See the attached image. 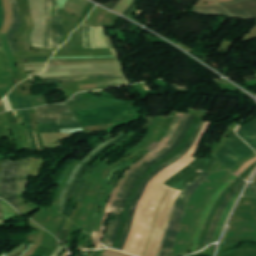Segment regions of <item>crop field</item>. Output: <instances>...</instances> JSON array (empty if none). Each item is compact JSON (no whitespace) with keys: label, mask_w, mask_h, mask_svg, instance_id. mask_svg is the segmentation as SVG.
<instances>
[{"label":"crop field","mask_w":256,"mask_h":256,"mask_svg":"<svg viewBox=\"0 0 256 256\" xmlns=\"http://www.w3.org/2000/svg\"><path fill=\"white\" fill-rule=\"evenodd\" d=\"M104 256H132L127 253H123L117 250H112V249H106V251L103 253Z\"/></svg>","instance_id":"obj_33"},{"label":"crop field","mask_w":256,"mask_h":256,"mask_svg":"<svg viewBox=\"0 0 256 256\" xmlns=\"http://www.w3.org/2000/svg\"><path fill=\"white\" fill-rule=\"evenodd\" d=\"M237 134L240 135L251 147L256 146V118L247 125H239Z\"/></svg>","instance_id":"obj_20"},{"label":"crop field","mask_w":256,"mask_h":256,"mask_svg":"<svg viewBox=\"0 0 256 256\" xmlns=\"http://www.w3.org/2000/svg\"><path fill=\"white\" fill-rule=\"evenodd\" d=\"M17 102H18L19 109L26 108L23 98H17Z\"/></svg>","instance_id":"obj_45"},{"label":"crop field","mask_w":256,"mask_h":256,"mask_svg":"<svg viewBox=\"0 0 256 256\" xmlns=\"http://www.w3.org/2000/svg\"><path fill=\"white\" fill-rule=\"evenodd\" d=\"M186 165H171L147 185L136 210L133 227L125 243L127 253L153 256L157 233L175 189L163 184Z\"/></svg>","instance_id":"obj_1"},{"label":"crop field","mask_w":256,"mask_h":256,"mask_svg":"<svg viewBox=\"0 0 256 256\" xmlns=\"http://www.w3.org/2000/svg\"><path fill=\"white\" fill-rule=\"evenodd\" d=\"M25 99V103H26V107L27 108H32V102H31V99H27V98H24Z\"/></svg>","instance_id":"obj_49"},{"label":"crop field","mask_w":256,"mask_h":256,"mask_svg":"<svg viewBox=\"0 0 256 256\" xmlns=\"http://www.w3.org/2000/svg\"><path fill=\"white\" fill-rule=\"evenodd\" d=\"M84 93H86V92L78 93V94L75 95L73 98H71L70 101L65 102V104H67V105L71 104L72 102H74V101H76L78 98H80Z\"/></svg>","instance_id":"obj_42"},{"label":"crop field","mask_w":256,"mask_h":256,"mask_svg":"<svg viewBox=\"0 0 256 256\" xmlns=\"http://www.w3.org/2000/svg\"><path fill=\"white\" fill-rule=\"evenodd\" d=\"M2 208H3L5 220L15 216L14 209L3 200H2Z\"/></svg>","instance_id":"obj_32"},{"label":"crop field","mask_w":256,"mask_h":256,"mask_svg":"<svg viewBox=\"0 0 256 256\" xmlns=\"http://www.w3.org/2000/svg\"><path fill=\"white\" fill-rule=\"evenodd\" d=\"M90 237L91 236L87 234L86 239H85L84 249H89Z\"/></svg>","instance_id":"obj_48"},{"label":"crop field","mask_w":256,"mask_h":256,"mask_svg":"<svg viewBox=\"0 0 256 256\" xmlns=\"http://www.w3.org/2000/svg\"><path fill=\"white\" fill-rule=\"evenodd\" d=\"M183 113H178V115L176 116L167 136L163 139V141L161 142V144L156 147L151 153H149L148 155H146L145 157L141 158L140 160L136 161L135 163L132 164V166L130 167V169L124 174L125 177L120 179L119 182H118V185L117 187L114 189L109 201H108V204L106 206V210H105V216L110 214V211H111V208H112V204H113V200L116 196V194L118 193L119 189L121 188L125 178L134 170V168L140 164L141 162H143L144 160L150 158L153 154L157 153L160 149H162L168 142V140L171 138L172 134H174L175 130H176V127L182 117ZM105 216H104V219H105ZM103 223H104V220H103ZM103 223H102V228L100 230V234H99V237H98V241L101 242L102 240V237H103V233H104V226H103Z\"/></svg>","instance_id":"obj_9"},{"label":"crop field","mask_w":256,"mask_h":256,"mask_svg":"<svg viewBox=\"0 0 256 256\" xmlns=\"http://www.w3.org/2000/svg\"><path fill=\"white\" fill-rule=\"evenodd\" d=\"M119 1L120 0H118L116 3L109 1L108 4L105 7L112 10L119 3Z\"/></svg>","instance_id":"obj_46"},{"label":"crop field","mask_w":256,"mask_h":256,"mask_svg":"<svg viewBox=\"0 0 256 256\" xmlns=\"http://www.w3.org/2000/svg\"><path fill=\"white\" fill-rule=\"evenodd\" d=\"M4 21V8L0 0V29ZM14 87L12 75L8 68L6 55L0 44V100Z\"/></svg>","instance_id":"obj_12"},{"label":"crop field","mask_w":256,"mask_h":256,"mask_svg":"<svg viewBox=\"0 0 256 256\" xmlns=\"http://www.w3.org/2000/svg\"><path fill=\"white\" fill-rule=\"evenodd\" d=\"M190 114L188 113H184L182 119H181V122L175 132V134L172 136V138L170 139L169 143L167 144V146L165 148H163L162 150H160L156 155H154L153 157H151L150 159H148L147 161H145L144 163L140 164L125 180L122 188H121V191L120 193L117 195L115 201H114V204H113V208H112V212H111V217L115 216L116 215V211L118 209V204L125 192V189L129 183V181L131 180V178L137 173L139 172L147 163L151 162L152 160H154L155 158H157L159 155L163 154L167 149H169L173 143L175 142V140L177 139V137L179 136L188 116Z\"/></svg>","instance_id":"obj_11"},{"label":"crop field","mask_w":256,"mask_h":256,"mask_svg":"<svg viewBox=\"0 0 256 256\" xmlns=\"http://www.w3.org/2000/svg\"><path fill=\"white\" fill-rule=\"evenodd\" d=\"M36 133V132H35ZM36 136H37V140H38V144H39V146H40V148H41V151L42 150H44V146H43V142H42V140H41V136H40V134H38V133H36ZM38 146V147H39ZM40 148H39V151H40Z\"/></svg>","instance_id":"obj_44"},{"label":"crop field","mask_w":256,"mask_h":256,"mask_svg":"<svg viewBox=\"0 0 256 256\" xmlns=\"http://www.w3.org/2000/svg\"><path fill=\"white\" fill-rule=\"evenodd\" d=\"M0 224H4V218H3L2 208H1V202H0Z\"/></svg>","instance_id":"obj_50"},{"label":"crop field","mask_w":256,"mask_h":256,"mask_svg":"<svg viewBox=\"0 0 256 256\" xmlns=\"http://www.w3.org/2000/svg\"><path fill=\"white\" fill-rule=\"evenodd\" d=\"M55 244L59 245V242L56 240V241H55Z\"/></svg>","instance_id":"obj_54"},{"label":"crop field","mask_w":256,"mask_h":256,"mask_svg":"<svg viewBox=\"0 0 256 256\" xmlns=\"http://www.w3.org/2000/svg\"><path fill=\"white\" fill-rule=\"evenodd\" d=\"M39 123L57 122L58 125L78 123L74 113L63 104H54L35 109Z\"/></svg>","instance_id":"obj_7"},{"label":"crop field","mask_w":256,"mask_h":256,"mask_svg":"<svg viewBox=\"0 0 256 256\" xmlns=\"http://www.w3.org/2000/svg\"><path fill=\"white\" fill-rule=\"evenodd\" d=\"M125 164H126V162L123 161L119 166H117V167L110 173L109 177L107 176L108 179H107V181H106V183H105V185H104V187H103V189H102V191H101V193H100V195H99V197H98V199H97V202H96V205H95L94 214H93V218H92V221H91V224H90L88 233H90V234L92 233V229H93L94 224H95V222H96V220H97V216H98V212H99V208H100V204H101L102 198H103L104 193H105V191L107 190V188H108V186H109V184H110V182H111L113 176H114V175L116 174V172H117L122 166H124Z\"/></svg>","instance_id":"obj_23"},{"label":"crop field","mask_w":256,"mask_h":256,"mask_svg":"<svg viewBox=\"0 0 256 256\" xmlns=\"http://www.w3.org/2000/svg\"><path fill=\"white\" fill-rule=\"evenodd\" d=\"M194 12L200 14H207V15H226L228 17H232L224 8L222 7H213V8H200V9H193Z\"/></svg>","instance_id":"obj_30"},{"label":"crop field","mask_w":256,"mask_h":256,"mask_svg":"<svg viewBox=\"0 0 256 256\" xmlns=\"http://www.w3.org/2000/svg\"><path fill=\"white\" fill-rule=\"evenodd\" d=\"M100 250H97L93 256H96L99 253Z\"/></svg>","instance_id":"obj_53"},{"label":"crop field","mask_w":256,"mask_h":256,"mask_svg":"<svg viewBox=\"0 0 256 256\" xmlns=\"http://www.w3.org/2000/svg\"><path fill=\"white\" fill-rule=\"evenodd\" d=\"M106 39H107L108 46H109L110 50L113 52L114 57L116 59V63H117L120 75H89V76H76V77H52V78H44L39 81H31V83L37 82L36 84H31V86L47 84V83H51V82L80 81V80L88 79V78H111V79L122 78L124 84L129 85L130 82L128 81V79L125 76L123 65L120 60V56H119L111 38L106 37Z\"/></svg>","instance_id":"obj_10"},{"label":"crop field","mask_w":256,"mask_h":256,"mask_svg":"<svg viewBox=\"0 0 256 256\" xmlns=\"http://www.w3.org/2000/svg\"><path fill=\"white\" fill-rule=\"evenodd\" d=\"M211 174L212 173H206V172L202 171L201 174L196 178V180L192 184L188 183V185L182 191L181 195L179 196V198L175 204L174 210L172 212V215H171L168 227H167V231H166V235L164 238L160 256H171L185 207L188 204V202H189L192 194L195 192V190Z\"/></svg>","instance_id":"obj_2"},{"label":"crop field","mask_w":256,"mask_h":256,"mask_svg":"<svg viewBox=\"0 0 256 256\" xmlns=\"http://www.w3.org/2000/svg\"><path fill=\"white\" fill-rule=\"evenodd\" d=\"M243 195L253 197L256 196V178L254 179V184H250V186Z\"/></svg>","instance_id":"obj_34"},{"label":"crop field","mask_w":256,"mask_h":256,"mask_svg":"<svg viewBox=\"0 0 256 256\" xmlns=\"http://www.w3.org/2000/svg\"><path fill=\"white\" fill-rule=\"evenodd\" d=\"M227 11L237 17L256 20V0L224 6Z\"/></svg>","instance_id":"obj_14"},{"label":"crop field","mask_w":256,"mask_h":256,"mask_svg":"<svg viewBox=\"0 0 256 256\" xmlns=\"http://www.w3.org/2000/svg\"><path fill=\"white\" fill-rule=\"evenodd\" d=\"M56 25H57V48H58L62 44V36H63V30H64V26L60 18V7L58 5L56 10Z\"/></svg>","instance_id":"obj_31"},{"label":"crop field","mask_w":256,"mask_h":256,"mask_svg":"<svg viewBox=\"0 0 256 256\" xmlns=\"http://www.w3.org/2000/svg\"><path fill=\"white\" fill-rule=\"evenodd\" d=\"M29 164H30L29 158H27V160H21L20 162V167H19L17 181H16L18 194L25 191L26 177L29 173Z\"/></svg>","instance_id":"obj_24"},{"label":"crop field","mask_w":256,"mask_h":256,"mask_svg":"<svg viewBox=\"0 0 256 256\" xmlns=\"http://www.w3.org/2000/svg\"><path fill=\"white\" fill-rule=\"evenodd\" d=\"M204 122L203 120L201 122H199L198 126H197V129L193 135V137L191 138V140L188 142V144L184 147V149L177 155L175 156L174 158H172L171 160L167 161L166 163H170V164H173L174 162H176L178 159H180L183 155L186 154V152L189 150V148L191 147V145L193 144V142L195 141V139L197 138L202 126H203ZM166 163H164L163 165H161L160 167H158V169L156 171L153 172V174H151L148 178H146L144 180V182L142 183L132 205H131V209H130V213H129V217H128V220H127V226H126V230H125V233L121 239V243H120V246H119V250L122 251V248H123V245L125 243V240L128 236V231L130 229V226H131V223H132V220H133V217H134V214H135V210H136V206H137V200L140 199L141 197V194L145 188V186L147 185V183L155 177V175L160 172L161 170H163L164 168L168 167L169 165H166ZM130 232V231H129Z\"/></svg>","instance_id":"obj_6"},{"label":"crop field","mask_w":256,"mask_h":256,"mask_svg":"<svg viewBox=\"0 0 256 256\" xmlns=\"http://www.w3.org/2000/svg\"><path fill=\"white\" fill-rule=\"evenodd\" d=\"M20 112H21V114H22V116H23V118H24V122L26 123L25 128L32 130L31 121H30V118H29V116H28L27 111H26V110H23V111H20Z\"/></svg>","instance_id":"obj_37"},{"label":"crop field","mask_w":256,"mask_h":256,"mask_svg":"<svg viewBox=\"0 0 256 256\" xmlns=\"http://www.w3.org/2000/svg\"><path fill=\"white\" fill-rule=\"evenodd\" d=\"M27 130V129H26ZM28 136H29V140H30V144H31V149L35 150L38 149L37 148V144H36V140H35V136L34 133L32 131L27 130Z\"/></svg>","instance_id":"obj_35"},{"label":"crop field","mask_w":256,"mask_h":256,"mask_svg":"<svg viewBox=\"0 0 256 256\" xmlns=\"http://www.w3.org/2000/svg\"><path fill=\"white\" fill-rule=\"evenodd\" d=\"M125 137H126V136L123 135V136H121L119 139L115 140L114 142H112L111 144H109L108 146H106L105 148H103V149H102L100 152H98L94 157H92V158L84 165V167L80 170V172H79L78 176L76 177V179H75V181H74V183H73V186H72V188H71V190H70V192H69V195H68V197H67L66 205H65V209H64L63 215H65V216L68 215V211H69V207H70L71 198H72V196H73V193H74V191H75V189H76V187H77V185H78V183H79V181H80V179H81V177H82V175H83L85 169H86L91 163H93L101 153H103V152H104L106 149H108L109 147H111V146L117 144L119 141H121V140H122L123 138H125Z\"/></svg>","instance_id":"obj_17"},{"label":"crop field","mask_w":256,"mask_h":256,"mask_svg":"<svg viewBox=\"0 0 256 256\" xmlns=\"http://www.w3.org/2000/svg\"><path fill=\"white\" fill-rule=\"evenodd\" d=\"M241 1H245V0H235V1H232V2H226V3H221V4H222V5L234 4V3L241 2Z\"/></svg>","instance_id":"obj_51"},{"label":"crop field","mask_w":256,"mask_h":256,"mask_svg":"<svg viewBox=\"0 0 256 256\" xmlns=\"http://www.w3.org/2000/svg\"><path fill=\"white\" fill-rule=\"evenodd\" d=\"M44 16H45V33H44V46L49 47V38H50V31L51 26L49 24V0H44Z\"/></svg>","instance_id":"obj_26"},{"label":"crop field","mask_w":256,"mask_h":256,"mask_svg":"<svg viewBox=\"0 0 256 256\" xmlns=\"http://www.w3.org/2000/svg\"><path fill=\"white\" fill-rule=\"evenodd\" d=\"M134 102L118 104L103 108L75 112L81 126L118 122L116 119L133 116L130 105ZM132 118V117H131ZM130 119V118H127ZM124 119V120H127ZM122 120V121H124Z\"/></svg>","instance_id":"obj_3"},{"label":"crop field","mask_w":256,"mask_h":256,"mask_svg":"<svg viewBox=\"0 0 256 256\" xmlns=\"http://www.w3.org/2000/svg\"><path fill=\"white\" fill-rule=\"evenodd\" d=\"M210 124H211V123H208V122L205 123V125H204V127H203V129H202L200 135L198 136L196 142L192 145V147H191L190 150L187 152V154H186L183 158H181L180 160H178L176 163H185V164H189L191 161L194 160V158H192L191 156L194 154V152H195L196 148L198 147V145H199V143H200V141H201V139H202V137H203L205 131L207 130V128L209 127Z\"/></svg>","instance_id":"obj_25"},{"label":"crop field","mask_w":256,"mask_h":256,"mask_svg":"<svg viewBox=\"0 0 256 256\" xmlns=\"http://www.w3.org/2000/svg\"><path fill=\"white\" fill-rule=\"evenodd\" d=\"M134 134H135L134 132H131V133L129 134V136H128L126 139H124V140H123L122 142H120L118 145H116V146L110 148L105 154H107V153H108L109 151H111L113 148H116V147L122 145L123 143H125L126 141H128L130 138H132V137L134 136ZM105 154H104V155H105ZM104 155H102V156H104ZM102 156H101V157H102ZM101 157H100V158L84 173V175H83V178H82V180H81V182H80V184H79V186H78V188H77V190H76V193H75L74 198H73L72 203H71V207H70V211H69V215H68V218H70L71 220L73 219V215H74V211H75V210L73 209V207H74V205H76V203H77V199H78L80 190H81V188L84 186V183H85V180H86L88 174L90 173V171H91L93 168H95V167L97 166V164L99 163Z\"/></svg>","instance_id":"obj_19"},{"label":"crop field","mask_w":256,"mask_h":256,"mask_svg":"<svg viewBox=\"0 0 256 256\" xmlns=\"http://www.w3.org/2000/svg\"><path fill=\"white\" fill-rule=\"evenodd\" d=\"M69 230H64L63 232V236H62V240L61 242L64 243L66 245V241H67V234H68Z\"/></svg>","instance_id":"obj_47"},{"label":"crop field","mask_w":256,"mask_h":256,"mask_svg":"<svg viewBox=\"0 0 256 256\" xmlns=\"http://www.w3.org/2000/svg\"><path fill=\"white\" fill-rule=\"evenodd\" d=\"M9 97V100H10V103H11V106L13 109H18L17 107V102H16V95H15V88L12 90V92L8 95Z\"/></svg>","instance_id":"obj_36"},{"label":"crop field","mask_w":256,"mask_h":256,"mask_svg":"<svg viewBox=\"0 0 256 256\" xmlns=\"http://www.w3.org/2000/svg\"><path fill=\"white\" fill-rule=\"evenodd\" d=\"M67 218L65 217H62L61 219V222H60V225H59V228H58V232H57V236L56 238L60 240L61 238V234H62V231H63V226H64V223L66 221Z\"/></svg>","instance_id":"obj_41"},{"label":"crop field","mask_w":256,"mask_h":256,"mask_svg":"<svg viewBox=\"0 0 256 256\" xmlns=\"http://www.w3.org/2000/svg\"><path fill=\"white\" fill-rule=\"evenodd\" d=\"M180 193H181V191L177 190V192L174 194V196H173V198L170 202L169 208H168V210L165 214L164 221H163L161 230L159 232V238L157 240V245H156V249H155V256H159V254H160L161 244H162V240H163L164 235H165V231H166V227H167V224H168V221H169V218H170V214H171V211L174 207L175 201L178 198Z\"/></svg>","instance_id":"obj_22"},{"label":"crop field","mask_w":256,"mask_h":256,"mask_svg":"<svg viewBox=\"0 0 256 256\" xmlns=\"http://www.w3.org/2000/svg\"><path fill=\"white\" fill-rule=\"evenodd\" d=\"M243 187H244V186H243ZM243 187H242V188H243ZM242 188L240 189V191H239L235 196L232 197V199H231L229 205L226 207V209H225V211H224L222 217L220 218V220H219V222H218V225H217V228H216V231H215V235H214V239H213V240H215V239L217 238V236H218V234H219V232H220V230H221V228H222V226H223V224H224V222H225V220H226V218H227V215H228L229 211L231 210V208H232V206H233L235 200L237 199L239 193L241 192Z\"/></svg>","instance_id":"obj_28"},{"label":"crop field","mask_w":256,"mask_h":256,"mask_svg":"<svg viewBox=\"0 0 256 256\" xmlns=\"http://www.w3.org/2000/svg\"><path fill=\"white\" fill-rule=\"evenodd\" d=\"M10 4L12 7V12H13V24L9 30V32L7 33V38H8V42L12 48L13 52L19 51L17 48V45L15 43L13 34L19 29L20 24H21V20H20V14H19V10H18V6H17V2L16 0H10Z\"/></svg>","instance_id":"obj_18"},{"label":"crop field","mask_w":256,"mask_h":256,"mask_svg":"<svg viewBox=\"0 0 256 256\" xmlns=\"http://www.w3.org/2000/svg\"><path fill=\"white\" fill-rule=\"evenodd\" d=\"M236 178H238V177H236V176L233 175V176L228 180V182H227L221 189H219V190L212 196V198L210 199V201H209V203H208V206H207V208H206V210H205V212H204V214H203V216H202V218H201V220H200L199 227H198L197 233H196L195 238H194V241H193V247H192V249H191V252H194L195 249H196V245H197V243H198L199 236H200L201 231H202V229H203L204 222H205V220H206V218H207V216H208V214H209L211 208L213 207L215 201L218 199V197H219V195L221 194V192H222L228 185H230ZM191 252H190V253H191Z\"/></svg>","instance_id":"obj_16"},{"label":"crop field","mask_w":256,"mask_h":256,"mask_svg":"<svg viewBox=\"0 0 256 256\" xmlns=\"http://www.w3.org/2000/svg\"><path fill=\"white\" fill-rule=\"evenodd\" d=\"M55 10H56V3L50 0V24L52 26V34H51V48H56L55 42V34H56V26H55Z\"/></svg>","instance_id":"obj_29"},{"label":"crop field","mask_w":256,"mask_h":256,"mask_svg":"<svg viewBox=\"0 0 256 256\" xmlns=\"http://www.w3.org/2000/svg\"><path fill=\"white\" fill-rule=\"evenodd\" d=\"M245 181H241L229 194L228 196L225 198V200L222 202V204L220 205L215 217H214V220L211 224V227H210V230H209V234H208V237H207V240L205 242V244H207L208 242L212 241V238H213V234H214V231H215V228H216V225H217V222L225 208V206L227 205V203L229 202V200L231 199V197L244 185ZM204 244V245H205Z\"/></svg>","instance_id":"obj_21"},{"label":"crop field","mask_w":256,"mask_h":256,"mask_svg":"<svg viewBox=\"0 0 256 256\" xmlns=\"http://www.w3.org/2000/svg\"><path fill=\"white\" fill-rule=\"evenodd\" d=\"M124 132H125V130L122 131V132L120 133V135H121L122 133H124ZM120 135H119L118 137H120ZM118 137H115V138H113V139H110V140L106 141L105 143H103L102 145H100V146H99L98 148H96L92 153H90L79 165L76 166V168H75L73 174L71 173L72 175H71L70 179L68 180V182H67V184H66V186H65V188H64V190H63V192H62V194H61L60 202H59V207H58V211H57V212L62 213L63 206H64V202H65V197H66V195H67V192H68L69 188H70L71 185H72L73 179H74V177H75L77 171H78L94 154H96L99 150H101L103 147H105L107 144H109L110 142L114 141V140L117 139Z\"/></svg>","instance_id":"obj_15"},{"label":"crop field","mask_w":256,"mask_h":256,"mask_svg":"<svg viewBox=\"0 0 256 256\" xmlns=\"http://www.w3.org/2000/svg\"><path fill=\"white\" fill-rule=\"evenodd\" d=\"M113 223H114V221H111V222L109 223V225H108V228H107V231H106L104 240H103V245H105V246H107V241H108V238H109V236H110V232H111Z\"/></svg>","instance_id":"obj_40"},{"label":"crop field","mask_w":256,"mask_h":256,"mask_svg":"<svg viewBox=\"0 0 256 256\" xmlns=\"http://www.w3.org/2000/svg\"><path fill=\"white\" fill-rule=\"evenodd\" d=\"M193 119H194V116L190 115V117H189V119H188V121H187V123H186V125H185V127H184V129H183V131H182V133H181V135L179 136V138L176 140V142L174 143V145H173L169 150H167L163 155H161L160 157H158L156 160H154V161H152L151 163H149L144 169H142V170H141L138 174H136V176L133 178V180L131 181V183H130V185H129V187H128L126 193H125V195L123 196V198H122V200H121V202H120V206H119V209H118V212H117V216H116V222H115L114 228H113V230H112L111 236H110V238H109V244H108L107 247H110V248H111V246H112V243H113V241H114L115 235H116V233H117V231H118V228H119V224H120V222H121V214H122V210H123V207H124V203L126 202L128 196H129V194H130V192H131V189H132V187L134 186V184H135L137 178H138L140 175L144 174V173L147 171V169H148L153 163H155V162L161 160L162 158H164L166 155H168L169 153H171V152L181 143V141H182V139L185 137V135H186V133H187V131H188V128H189L191 122L193 121Z\"/></svg>","instance_id":"obj_8"},{"label":"crop field","mask_w":256,"mask_h":256,"mask_svg":"<svg viewBox=\"0 0 256 256\" xmlns=\"http://www.w3.org/2000/svg\"><path fill=\"white\" fill-rule=\"evenodd\" d=\"M230 221H256V199L242 197Z\"/></svg>","instance_id":"obj_13"},{"label":"crop field","mask_w":256,"mask_h":256,"mask_svg":"<svg viewBox=\"0 0 256 256\" xmlns=\"http://www.w3.org/2000/svg\"><path fill=\"white\" fill-rule=\"evenodd\" d=\"M39 127H40L41 133H60L58 129L80 127V125L75 124V125H67V126H57L56 123H48V124H39Z\"/></svg>","instance_id":"obj_27"},{"label":"crop field","mask_w":256,"mask_h":256,"mask_svg":"<svg viewBox=\"0 0 256 256\" xmlns=\"http://www.w3.org/2000/svg\"><path fill=\"white\" fill-rule=\"evenodd\" d=\"M252 151L253 150L232 131L226 144L214 156L231 170L237 161L249 156Z\"/></svg>","instance_id":"obj_4"},{"label":"crop field","mask_w":256,"mask_h":256,"mask_svg":"<svg viewBox=\"0 0 256 256\" xmlns=\"http://www.w3.org/2000/svg\"><path fill=\"white\" fill-rule=\"evenodd\" d=\"M50 57H43V58H28V59H22V60H34V59H49Z\"/></svg>","instance_id":"obj_52"},{"label":"crop field","mask_w":256,"mask_h":256,"mask_svg":"<svg viewBox=\"0 0 256 256\" xmlns=\"http://www.w3.org/2000/svg\"><path fill=\"white\" fill-rule=\"evenodd\" d=\"M92 182H89L87 181L84 188L82 189L81 193H80V197H79V201L78 203H82L83 202V198H84V195L86 193V191L88 190V188L90 187Z\"/></svg>","instance_id":"obj_39"},{"label":"crop field","mask_w":256,"mask_h":256,"mask_svg":"<svg viewBox=\"0 0 256 256\" xmlns=\"http://www.w3.org/2000/svg\"><path fill=\"white\" fill-rule=\"evenodd\" d=\"M256 161V157H254L253 159L249 160L248 162H246L236 173L235 175L239 176L244 170H246L248 168V166Z\"/></svg>","instance_id":"obj_38"},{"label":"crop field","mask_w":256,"mask_h":256,"mask_svg":"<svg viewBox=\"0 0 256 256\" xmlns=\"http://www.w3.org/2000/svg\"><path fill=\"white\" fill-rule=\"evenodd\" d=\"M19 161L20 160H16L15 163L10 160L2 161L3 167L0 177L1 197L13 205L18 211H20V209L16 199L15 177Z\"/></svg>","instance_id":"obj_5"},{"label":"crop field","mask_w":256,"mask_h":256,"mask_svg":"<svg viewBox=\"0 0 256 256\" xmlns=\"http://www.w3.org/2000/svg\"><path fill=\"white\" fill-rule=\"evenodd\" d=\"M137 3V0H134L133 3L127 8V10L123 13V15L127 16V14L134 9L135 5ZM129 15V14H128Z\"/></svg>","instance_id":"obj_43"}]
</instances>
